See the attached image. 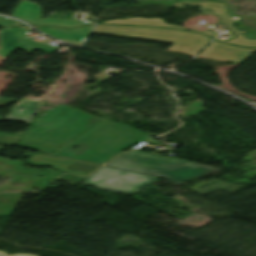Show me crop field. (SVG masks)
<instances>
[{
    "label": "crop field",
    "instance_id": "crop-field-1",
    "mask_svg": "<svg viewBox=\"0 0 256 256\" xmlns=\"http://www.w3.org/2000/svg\"><path fill=\"white\" fill-rule=\"evenodd\" d=\"M33 121L34 129L22 138L21 146L52 153L85 130L103 120L59 105Z\"/></svg>",
    "mask_w": 256,
    "mask_h": 256
},
{
    "label": "crop field",
    "instance_id": "crop-field-2",
    "mask_svg": "<svg viewBox=\"0 0 256 256\" xmlns=\"http://www.w3.org/2000/svg\"><path fill=\"white\" fill-rule=\"evenodd\" d=\"M147 135L118 123L105 121L66 146L53 155L79 159L102 164ZM73 146H80L72 150Z\"/></svg>",
    "mask_w": 256,
    "mask_h": 256
},
{
    "label": "crop field",
    "instance_id": "crop-field-3",
    "mask_svg": "<svg viewBox=\"0 0 256 256\" xmlns=\"http://www.w3.org/2000/svg\"><path fill=\"white\" fill-rule=\"evenodd\" d=\"M108 166L159 175L177 184L217 171L205 165L138 151L125 153L110 162Z\"/></svg>",
    "mask_w": 256,
    "mask_h": 256
},
{
    "label": "crop field",
    "instance_id": "crop-field-4",
    "mask_svg": "<svg viewBox=\"0 0 256 256\" xmlns=\"http://www.w3.org/2000/svg\"><path fill=\"white\" fill-rule=\"evenodd\" d=\"M92 32L174 43V45L169 49L170 51L192 55H195L201 48H203L208 43L206 40L209 38L195 33L179 30L108 25H96Z\"/></svg>",
    "mask_w": 256,
    "mask_h": 256
},
{
    "label": "crop field",
    "instance_id": "crop-field-5",
    "mask_svg": "<svg viewBox=\"0 0 256 256\" xmlns=\"http://www.w3.org/2000/svg\"><path fill=\"white\" fill-rule=\"evenodd\" d=\"M158 177L103 167L83 184L133 195Z\"/></svg>",
    "mask_w": 256,
    "mask_h": 256
},
{
    "label": "crop field",
    "instance_id": "crop-field-6",
    "mask_svg": "<svg viewBox=\"0 0 256 256\" xmlns=\"http://www.w3.org/2000/svg\"><path fill=\"white\" fill-rule=\"evenodd\" d=\"M186 5H200L202 7L200 11L203 12L204 14H215L219 16V21L237 36L236 38L226 43L236 45V46L256 47V40H247L240 31L232 27L231 20L227 16L226 8L224 4L215 3V2H194V4H182V5H174V6L177 9H180ZM206 8L210 9L213 12L204 11Z\"/></svg>",
    "mask_w": 256,
    "mask_h": 256
},
{
    "label": "crop field",
    "instance_id": "crop-field-7",
    "mask_svg": "<svg viewBox=\"0 0 256 256\" xmlns=\"http://www.w3.org/2000/svg\"><path fill=\"white\" fill-rule=\"evenodd\" d=\"M253 52H256V49L237 48L219 42H214L203 50L198 57L241 63Z\"/></svg>",
    "mask_w": 256,
    "mask_h": 256
},
{
    "label": "crop field",
    "instance_id": "crop-field-8",
    "mask_svg": "<svg viewBox=\"0 0 256 256\" xmlns=\"http://www.w3.org/2000/svg\"><path fill=\"white\" fill-rule=\"evenodd\" d=\"M29 163L38 166L51 165L64 172L72 173L78 176H86L88 173H90L91 171L98 167V165L82 163L51 156H44L39 154H36L34 157H32L29 160Z\"/></svg>",
    "mask_w": 256,
    "mask_h": 256
},
{
    "label": "crop field",
    "instance_id": "crop-field-9",
    "mask_svg": "<svg viewBox=\"0 0 256 256\" xmlns=\"http://www.w3.org/2000/svg\"><path fill=\"white\" fill-rule=\"evenodd\" d=\"M32 31L27 27L3 28L0 32V56L7 58Z\"/></svg>",
    "mask_w": 256,
    "mask_h": 256
},
{
    "label": "crop field",
    "instance_id": "crop-field-10",
    "mask_svg": "<svg viewBox=\"0 0 256 256\" xmlns=\"http://www.w3.org/2000/svg\"><path fill=\"white\" fill-rule=\"evenodd\" d=\"M91 26L75 28L71 30L58 29V28H50V27H35L38 30L44 32L45 34L60 40H64L66 42L75 44L80 46L83 39L89 32Z\"/></svg>",
    "mask_w": 256,
    "mask_h": 256
},
{
    "label": "crop field",
    "instance_id": "crop-field-11",
    "mask_svg": "<svg viewBox=\"0 0 256 256\" xmlns=\"http://www.w3.org/2000/svg\"><path fill=\"white\" fill-rule=\"evenodd\" d=\"M107 24H121V25H136V26H151V27H172V28H180V29H186L179 26H173V25H167L162 19L154 18V19H145V18H128L125 20H111L107 22H103ZM195 32H198L197 30H192ZM202 34L215 36L216 34L213 32H210V30H207L205 32H199Z\"/></svg>",
    "mask_w": 256,
    "mask_h": 256
},
{
    "label": "crop field",
    "instance_id": "crop-field-12",
    "mask_svg": "<svg viewBox=\"0 0 256 256\" xmlns=\"http://www.w3.org/2000/svg\"><path fill=\"white\" fill-rule=\"evenodd\" d=\"M40 14L41 7L39 5L26 0H22L12 16L38 25L40 22Z\"/></svg>",
    "mask_w": 256,
    "mask_h": 256
},
{
    "label": "crop field",
    "instance_id": "crop-field-13",
    "mask_svg": "<svg viewBox=\"0 0 256 256\" xmlns=\"http://www.w3.org/2000/svg\"><path fill=\"white\" fill-rule=\"evenodd\" d=\"M49 40L45 39L41 42H35L29 38H26L23 43L18 46V48L22 49V50H25L27 52L31 51V49H34V50H38V51H42V52H47V53H51L59 48L55 47V46H52L50 44H48Z\"/></svg>",
    "mask_w": 256,
    "mask_h": 256
},
{
    "label": "crop field",
    "instance_id": "crop-field-14",
    "mask_svg": "<svg viewBox=\"0 0 256 256\" xmlns=\"http://www.w3.org/2000/svg\"><path fill=\"white\" fill-rule=\"evenodd\" d=\"M94 22L80 21V20H62V19H50L45 18L41 20L39 25H53V26H64V27H75L81 26Z\"/></svg>",
    "mask_w": 256,
    "mask_h": 256
},
{
    "label": "crop field",
    "instance_id": "crop-field-15",
    "mask_svg": "<svg viewBox=\"0 0 256 256\" xmlns=\"http://www.w3.org/2000/svg\"><path fill=\"white\" fill-rule=\"evenodd\" d=\"M192 106L179 109V111L182 113V117L186 118L191 116L192 114L196 112H200L203 110L202 102L201 100H197L193 103H191Z\"/></svg>",
    "mask_w": 256,
    "mask_h": 256
},
{
    "label": "crop field",
    "instance_id": "crop-field-16",
    "mask_svg": "<svg viewBox=\"0 0 256 256\" xmlns=\"http://www.w3.org/2000/svg\"><path fill=\"white\" fill-rule=\"evenodd\" d=\"M13 25H24V24L15 20L5 18V17H0V26H13Z\"/></svg>",
    "mask_w": 256,
    "mask_h": 256
},
{
    "label": "crop field",
    "instance_id": "crop-field-17",
    "mask_svg": "<svg viewBox=\"0 0 256 256\" xmlns=\"http://www.w3.org/2000/svg\"><path fill=\"white\" fill-rule=\"evenodd\" d=\"M0 256H35V255H27V254H15V255H8L4 252H0Z\"/></svg>",
    "mask_w": 256,
    "mask_h": 256
},
{
    "label": "crop field",
    "instance_id": "crop-field-18",
    "mask_svg": "<svg viewBox=\"0 0 256 256\" xmlns=\"http://www.w3.org/2000/svg\"><path fill=\"white\" fill-rule=\"evenodd\" d=\"M182 3H193V2H178V3H172V4H182Z\"/></svg>",
    "mask_w": 256,
    "mask_h": 256
},
{
    "label": "crop field",
    "instance_id": "crop-field-19",
    "mask_svg": "<svg viewBox=\"0 0 256 256\" xmlns=\"http://www.w3.org/2000/svg\"><path fill=\"white\" fill-rule=\"evenodd\" d=\"M1 149H4V147L0 146V150H1Z\"/></svg>",
    "mask_w": 256,
    "mask_h": 256
}]
</instances>
